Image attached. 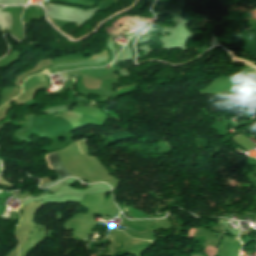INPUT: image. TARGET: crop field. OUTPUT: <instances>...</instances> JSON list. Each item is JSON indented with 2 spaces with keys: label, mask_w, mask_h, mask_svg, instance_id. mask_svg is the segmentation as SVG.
Instances as JSON below:
<instances>
[{
  "label": "crop field",
  "mask_w": 256,
  "mask_h": 256,
  "mask_svg": "<svg viewBox=\"0 0 256 256\" xmlns=\"http://www.w3.org/2000/svg\"><path fill=\"white\" fill-rule=\"evenodd\" d=\"M79 146V145H78ZM80 149V148H79ZM81 151V150H80ZM82 153V152H81ZM84 156V155H83ZM46 162H47V167L49 169H56L57 173H58V181L56 182H48L46 184H41L40 187H47V186H51L59 181H61L62 179L70 176L68 174V172L66 171V169L63 167L60 158L57 154V152L52 153L50 155H47L46 157Z\"/></svg>",
  "instance_id": "crop-field-1"
},
{
  "label": "crop field",
  "mask_w": 256,
  "mask_h": 256,
  "mask_svg": "<svg viewBox=\"0 0 256 256\" xmlns=\"http://www.w3.org/2000/svg\"><path fill=\"white\" fill-rule=\"evenodd\" d=\"M44 72H46V73L50 74V73H49V71H48L47 69H46V70H44Z\"/></svg>",
  "instance_id": "crop-field-2"
},
{
  "label": "crop field",
  "mask_w": 256,
  "mask_h": 256,
  "mask_svg": "<svg viewBox=\"0 0 256 256\" xmlns=\"http://www.w3.org/2000/svg\"><path fill=\"white\" fill-rule=\"evenodd\" d=\"M123 210L126 211L125 208H123Z\"/></svg>",
  "instance_id": "crop-field-3"
}]
</instances>
